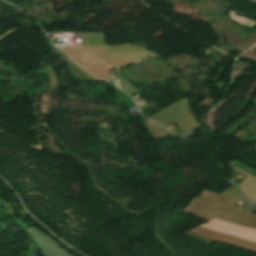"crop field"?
Masks as SVG:
<instances>
[{
  "mask_svg": "<svg viewBox=\"0 0 256 256\" xmlns=\"http://www.w3.org/2000/svg\"><path fill=\"white\" fill-rule=\"evenodd\" d=\"M203 196L208 198V199H211L215 202H218L220 204L226 205L230 208L233 205L236 204V202H234L230 199H227V198H225L221 195H218L216 193H213L209 190H207ZM196 201L204 203V204L208 205L209 207H207L205 205H202V204H200ZM196 201L193 202L191 207H195V208H198V209H200L204 212L212 214V215L218 217L220 220L227 221V222H230V223H234V224H237V225H241V226L248 227V228L256 230V216L253 215L252 213L241 211V210H238V209H235V208L227 209V208H224V207H222L218 204H214L212 202H209V201H207V200H205L201 197L199 199H197ZM191 207L188 208L187 212L192 213L196 216L208 219V220H211V219L215 218V217H212L208 214L197 211V210H195Z\"/></svg>",
  "mask_w": 256,
  "mask_h": 256,
  "instance_id": "obj_2",
  "label": "crop field"
},
{
  "mask_svg": "<svg viewBox=\"0 0 256 256\" xmlns=\"http://www.w3.org/2000/svg\"><path fill=\"white\" fill-rule=\"evenodd\" d=\"M80 39L81 46L115 68L153 54L132 44H118L107 47L102 33H80ZM81 46L59 49L90 75L109 82L107 71L114 68Z\"/></svg>",
  "mask_w": 256,
  "mask_h": 256,
  "instance_id": "obj_1",
  "label": "crop field"
},
{
  "mask_svg": "<svg viewBox=\"0 0 256 256\" xmlns=\"http://www.w3.org/2000/svg\"><path fill=\"white\" fill-rule=\"evenodd\" d=\"M143 122H144L149 134H151L155 139H160L162 137L172 134L168 130L160 127L159 125H157L149 120H143Z\"/></svg>",
  "mask_w": 256,
  "mask_h": 256,
  "instance_id": "obj_8",
  "label": "crop field"
},
{
  "mask_svg": "<svg viewBox=\"0 0 256 256\" xmlns=\"http://www.w3.org/2000/svg\"><path fill=\"white\" fill-rule=\"evenodd\" d=\"M190 231H192V232H194V233H196V234H198L202 237H206V238H210V239H214V240H218V241H222V242H227V243H231V244H235V245H240V246L256 249V243L255 242H251V241H248V240H244V239L229 236V235H226V234L218 233V232L211 231V230H208V229L197 227V228L192 229Z\"/></svg>",
  "mask_w": 256,
  "mask_h": 256,
  "instance_id": "obj_5",
  "label": "crop field"
},
{
  "mask_svg": "<svg viewBox=\"0 0 256 256\" xmlns=\"http://www.w3.org/2000/svg\"><path fill=\"white\" fill-rule=\"evenodd\" d=\"M222 195H224L236 202L241 200L243 202H246V203L252 205V203L249 201V199L234 185L230 189H228L226 192H224Z\"/></svg>",
  "mask_w": 256,
  "mask_h": 256,
  "instance_id": "obj_9",
  "label": "crop field"
},
{
  "mask_svg": "<svg viewBox=\"0 0 256 256\" xmlns=\"http://www.w3.org/2000/svg\"><path fill=\"white\" fill-rule=\"evenodd\" d=\"M149 118L164 126L177 121L185 131L180 135L183 138L200 126L190 111L188 99L169 105Z\"/></svg>",
  "mask_w": 256,
  "mask_h": 256,
  "instance_id": "obj_3",
  "label": "crop field"
},
{
  "mask_svg": "<svg viewBox=\"0 0 256 256\" xmlns=\"http://www.w3.org/2000/svg\"><path fill=\"white\" fill-rule=\"evenodd\" d=\"M232 169L245 175V178L239 185L241 189L256 203V177L235 166Z\"/></svg>",
  "mask_w": 256,
  "mask_h": 256,
  "instance_id": "obj_6",
  "label": "crop field"
},
{
  "mask_svg": "<svg viewBox=\"0 0 256 256\" xmlns=\"http://www.w3.org/2000/svg\"><path fill=\"white\" fill-rule=\"evenodd\" d=\"M200 227L208 228L218 232L226 233L229 235L237 236L240 238L248 239L256 242V231L220 220H212L208 223L201 225Z\"/></svg>",
  "mask_w": 256,
  "mask_h": 256,
  "instance_id": "obj_4",
  "label": "crop field"
},
{
  "mask_svg": "<svg viewBox=\"0 0 256 256\" xmlns=\"http://www.w3.org/2000/svg\"><path fill=\"white\" fill-rule=\"evenodd\" d=\"M52 52L58 54L63 62L68 65L69 73L74 76L77 80H97L83 71H81L78 67H76L73 63H71L66 56H64L61 52H59L54 46Z\"/></svg>",
  "mask_w": 256,
  "mask_h": 256,
  "instance_id": "obj_7",
  "label": "crop field"
}]
</instances>
